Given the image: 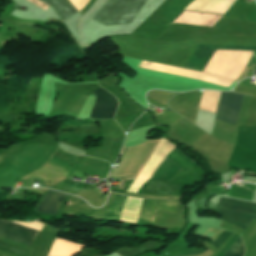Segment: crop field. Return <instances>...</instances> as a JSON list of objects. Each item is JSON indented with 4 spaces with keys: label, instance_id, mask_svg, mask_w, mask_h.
<instances>
[{
    "label": "crop field",
    "instance_id": "obj_2",
    "mask_svg": "<svg viewBox=\"0 0 256 256\" xmlns=\"http://www.w3.org/2000/svg\"><path fill=\"white\" fill-rule=\"evenodd\" d=\"M221 220L245 230L252 218H256V204L221 198L217 207Z\"/></svg>",
    "mask_w": 256,
    "mask_h": 256
},
{
    "label": "crop field",
    "instance_id": "obj_14",
    "mask_svg": "<svg viewBox=\"0 0 256 256\" xmlns=\"http://www.w3.org/2000/svg\"><path fill=\"white\" fill-rule=\"evenodd\" d=\"M183 11H184V10H183ZM183 11H182V12H183ZM188 11H189V10H188ZM182 12H181V13H182ZM196 12H197V11H196ZM181 13H180V14H181ZM180 14H179V15H180ZM179 15H178V16H179ZM178 16H177V17H178ZM177 17H176V18H177ZM176 18H175V19H176ZM175 19H174V20H175ZM174 20H173V21H174ZM173 21H172V22H173Z\"/></svg>",
    "mask_w": 256,
    "mask_h": 256
},
{
    "label": "crop field",
    "instance_id": "obj_8",
    "mask_svg": "<svg viewBox=\"0 0 256 256\" xmlns=\"http://www.w3.org/2000/svg\"><path fill=\"white\" fill-rule=\"evenodd\" d=\"M182 170V168L165 157L154 171L151 178L167 180L171 182Z\"/></svg>",
    "mask_w": 256,
    "mask_h": 256
},
{
    "label": "crop field",
    "instance_id": "obj_9",
    "mask_svg": "<svg viewBox=\"0 0 256 256\" xmlns=\"http://www.w3.org/2000/svg\"><path fill=\"white\" fill-rule=\"evenodd\" d=\"M65 197V194L50 190L41 200L36 210L56 214Z\"/></svg>",
    "mask_w": 256,
    "mask_h": 256
},
{
    "label": "crop field",
    "instance_id": "obj_11",
    "mask_svg": "<svg viewBox=\"0 0 256 256\" xmlns=\"http://www.w3.org/2000/svg\"><path fill=\"white\" fill-rule=\"evenodd\" d=\"M125 199L126 197L117 194L113 202L108 207L104 219H119Z\"/></svg>",
    "mask_w": 256,
    "mask_h": 256
},
{
    "label": "crop field",
    "instance_id": "obj_6",
    "mask_svg": "<svg viewBox=\"0 0 256 256\" xmlns=\"http://www.w3.org/2000/svg\"><path fill=\"white\" fill-rule=\"evenodd\" d=\"M93 93L96 97V102L90 118H113V115L118 107L116 100L108 92L101 88Z\"/></svg>",
    "mask_w": 256,
    "mask_h": 256
},
{
    "label": "crop field",
    "instance_id": "obj_4",
    "mask_svg": "<svg viewBox=\"0 0 256 256\" xmlns=\"http://www.w3.org/2000/svg\"><path fill=\"white\" fill-rule=\"evenodd\" d=\"M216 49L256 50V47L198 45L185 67L203 71Z\"/></svg>",
    "mask_w": 256,
    "mask_h": 256
},
{
    "label": "crop field",
    "instance_id": "obj_7",
    "mask_svg": "<svg viewBox=\"0 0 256 256\" xmlns=\"http://www.w3.org/2000/svg\"><path fill=\"white\" fill-rule=\"evenodd\" d=\"M0 223L23 230V231H26V232H29V233H32V234H35V235H37V233H38V231L29 229L26 227H22V226H19V225L10 223V222L0 221ZM1 224H0V236H3L5 238L11 239V240H14V241H17V242H20L22 244L29 246L31 241L35 237V235L29 234V233H26V232H23V231H20V230L11 228V227H7V226L1 225Z\"/></svg>",
    "mask_w": 256,
    "mask_h": 256
},
{
    "label": "crop field",
    "instance_id": "obj_1",
    "mask_svg": "<svg viewBox=\"0 0 256 256\" xmlns=\"http://www.w3.org/2000/svg\"><path fill=\"white\" fill-rule=\"evenodd\" d=\"M148 0H109L94 20L105 25L131 23Z\"/></svg>",
    "mask_w": 256,
    "mask_h": 256
},
{
    "label": "crop field",
    "instance_id": "obj_13",
    "mask_svg": "<svg viewBox=\"0 0 256 256\" xmlns=\"http://www.w3.org/2000/svg\"><path fill=\"white\" fill-rule=\"evenodd\" d=\"M204 251H193L190 249L179 251L173 254H170L168 256H189V255H198V254H203Z\"/></svg>",
    "mask_w": 256,
    "mask_h": 256
},
{
    "label": "crop field",
    "instance_id": "obj_10",
    "mask_svg": "<svg viewBox=\"0 0 256 256\" xmlns=\"http://www.w3.org/2000/svg\"><path fill=\"white\" fill-rule=\"evenodd\" d=\"M229 235H230L229 233H226L223 231L212 243L213 247L217 250L226 241ZM243 252H244V248H243L242 239L240 237L224 256H242Z\"/></svg>",
    "mask_w": 256,
    "mask_h": 256
},
{
    "label": "crop field",
    "instance_id": "obj_3",
    "mask_svg": "<svg viewBox=\"0 0 256 256\" xmlns=\"http://www.w3.org/2000/svg\"><path fill=\"white\" fill-rule=\"evenodd\" d=\"M155 211L181 214L178 204L166 200L144 199L137 222L152 225Z\"/></svg>",
    "mask_w": 256,
    "mask_h": 256
},
{
    "label": "crop field",
    "instance_id": "obj_12",
    "mask_svg": "<svg viewBox=\"0 0 256 256\" xmlns=\"http://www.w3.org/2000/svg\"><path fill=\"white\" fill-rule=\"evenodd\" d=\"M86 97L82 96L81 98H79L71 107V109L67 112L66 115L68 116H74L76 117L77 114L79 113L84 101H85Z\"/></svg>",
    "mask_w": 256,
    "mask_h": 256
},
{
    "label": "crop field",
    "instance_id": "obj_5",
    "mask_svg": "<svg viewBox=\"0 0 256 256\" xmlns=\"http://www.w3.org/2000/svg\"><path fill=\"white\" fill-rule=\"evenodd\" d=\"M242 96L243 95L222 92L216 118L235 125Z\"/></svg>",
    "mask_w": 256,
    "mask_h": 256
}]
</instances>
